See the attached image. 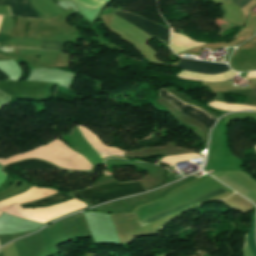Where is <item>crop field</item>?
I'll return each mask as SVG.
<instances>
[{
    "instance_id": "8a807250",
    "label": "crop field",
    "mask_w": 256,
    "mask_h": 256,
    "mask_svg": "<svg viewBox=\"0 0 256 256\" xmlns=\"http://www.w3.org/2000/svg\"><path fill=\"white\" fill-rule=\"evenodd\" d=\"M115 14L125 19L126 21L132 23L133 25L145 31L146 33L169 44V30H167L165 27L161 25H156L141 17L132 15L127 12H115ZM177 67L187 69V70L197 71L200 73H209V74L222 73L229 69L228 65L226 64L195 61V60H188L184 58L179 62Z\"/></svg>"
},
{
    "instance_id": "ac0d7876",
    "label": "crop field",
    "mask_w": 256,
    "mask_h": 256,
    "mask_svg": "<svg viewBox=\"0 0 256 256\" xmlns=\"http://www.w3.org/2000/svg\"><path fill=\"white\" fill-rule=\"evenodd\" d=\"M138 182L108 183L89 190L73 193L86 199L92 206L130 194L142 192Z\"/></svg>"
},
{
    "instance_id": "34b2d1b8",
    "label": "crop field",
    "mask_w": 256,
    "mask_h": 256,
    "mask_svg": "<svg viewBox=\"0 0 256 256\" xmlns=\"http://www.w3.org/2000/svg\"><path fill=\"white\" fill-rule=\"evenodd\" d=\"M159 97L166 100L168 103L172 104L175 108L179 109L185 115L203 123L209 129L213 125V123L216 122V119L212 118L208 113H206L192 105L185 104V103L181 102L173 95L164 91L162 88L160 90Z\"/></svg>"
},
{
    "instance_id": "412701ff",
    "label": "crop field",
    "mask_w": 256,
    "mask_h": 256,
    "mask_svg": "<svg viewBox=\"0 0 256 256\" xmlns=\"http://www.w3.org/2000/svg\"><path fill=\"white\" fill-rule=\"evenodd\" d=\"M226 191L227 190L220 188L218 190H215V191H212V192L207 193L205 195H202L199 198L193 199V200H191V201H189L187 203H184V204L179 205V206H175V207H173V208H171V209H169L167 211H164V212L159 213V214H157V215H155L153 217H150V218H147V219H145L143 221H140V223H141L142 226H144V225H146L148 223L155 222V221H157V220H159V219H161V218H163L165 216L174 214V213H176L178 211H181V210H183V209H185L187 207H190V206H193L195 204H198L201 201L207 200V199H209V198H211L213 196H216V195L221 194V193L226 192Z\"/></svg>"
},
{
    "instance_id": "f4fd0767",
    "label": "crop field",
    "mask_w": 256,
    "mask_h": 256,
    "mask_svg": "<svg viewBox=\"0 0 256 256\" xmlns=\"http://www.w3.org/2000/svg\"><path fill=\"white\" fill-rule=\"evenodd\" d=\"M0 5H10L13 15L23 18H41L31 7L29 0H0Z\"/></svg>"
},
{
    "instance_id": "dd49c442",
    "label": "crop field",
    "mask_w": 256,
    "mask_h": 256,
    "mask_svg": "<svg viewBox=\"0 0 256 256\" xmlns=\"http://www.w3.org/2000/svg\"><path fill=\"white\" fill-rule=\"evenodd\" d=\"M70 198H74V195L72 194H68V196L57 193L55 195L46 197L44 199L41 200H37L34 202H30V203H25V204H21V206L23 208H27V207H39V206H48L57 202H61V201H65L68 200Z\"/></svg>"
},
{
    "instance_id": "e52e79f7",
    "label": "crop field",
    "mask_w": 256,
    "mask_h": 256,
    "mask_svg": "<svg viewBox=\"0 0 256 256\" xmlns=\"http://www.w3.org/2000/svg\"><path fill=\"white\" fill-rule=\"evenodd\" d=\"M63 46L64 43L43 42L42 49L59 51L63 49Z\"/></svg>"
},
{
    "instance_id": "d8731c3e",
    "label": "crop field",
    "mask_w": 256,
    "mask_h": 256,
    "mask_svg": "<svg viewBox=\"0 0 256 256\" xmlns=\"http://www.w3.org/2000/svg\"><path fill=\"white\" fill-rule=\"evenodd\" d=\"M10 95L0 91V108L7 104Z\"/></svg>"
},
{
    "instance_id": "5a996713",
    "label": "crop field",
    "mask_w": 256,
    "mask_h": 256,
    "mask_svg": "<svg viewBox=\"0 0 256 256\" xmlns=\"http://www.w3.org/2000/svg\"><path fill=\"white\" fill-rule=\"evenodd\" d=\"M237 6L240 8L243 7L245 4H247L251 0H232Z\"/></svg>"
},
{
    "instance_id": "3316defc",
    "label": "crop field",
    "mask_w": 256,
    "mask_h": 256,
    "mask_svg": "<svg viewBox=\"0 0 256 256\" xmlns=\"http://www.w3.org/2000/svg\"><path fill=\"white\" fill-rule=\"evenodd\" d=\"M254 92H255V94H256V90H253Z\"/></svg>"
},
{
    "instance_id": "28ad6ade",
    "label": "crop field",
    "mask_w": 256,
    "mask_h": 256,
    "mask_svg": "<svg viewBox=\"0 0 256 256\" xmlns=\"http://www.w3.org/2000/svg\"><path fill=\"white\" fill-rule=\"evenodd\" d=\"M204 256H208L207 254H205Z\"/></svg>"
},
{
    "instance_id": "d1516ede",
    "label": "crop field",
    "mask_w": 256,
    "mask_h": 256,
    "mask_svg": "<svg viewBox=\"0 0 256 256\" xmlns=\"http://www.w3.org/2000/svg\"><path fill=\"white\" fill-rule=\"evenodd\" d=\"M9 8V7H8ZM9 10H10V8H9ZM10 13H11V11H10Z\"/></svg>"
}]
</instances>
